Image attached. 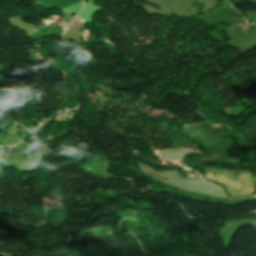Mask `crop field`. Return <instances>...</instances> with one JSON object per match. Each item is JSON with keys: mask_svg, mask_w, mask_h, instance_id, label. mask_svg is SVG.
<instances>
[{"mask_svg": "<svg viewBox=\"0 0 256 256\" xmlns=\"http://www.w3.org/2000/svg\"><path fill=\"white\" fill-rule=\"evenodd\" d=\"M46 125H48V124L44 123L41 127H39L37 130H35L33 133H37V132L41 131L42 129H44V127ZM33 133H31V134H33Z\"/></svg>", "mask_w": 256, "mask_h": 256, "instance_id": "crop-field-2", "label": "crop field"}, {"mask_svg": "<svg viewBox=\"0 0 256 256\" xmlns=\"http://www.w3.org/2000/svg\"><path fill=\"white\" fill-rule=\"evenodd\" d=\"M176 150H185V149H176ZM176 150H171V151H176ZM187 151L195 152V151H192V150H187ZM195 153H198V152H195Z\"/></svg>", "mask_w": 256, "mask_h": 256, "instance_id": "crop-field-3", "label": "crop field"}, {"mask_svg": "<svg viewBox=\"0 0 256 256\" xmlns=\"http://www.w3.org/2000/svg\"><path fill=\"white\" fill-rule=\"evenodd\" d=\"M206 177H209L211 179H214V180H217L219 182H222V183H225L227 185H230V186H233V187H237L238 183L237 182H234V181H231L229 179H226V178H223V177H220V176H216V175H213V174H210V173H207V176Z\"/></svg>", "mask_w": 256, "mask_h": 256, "instance_id": "crop-field-1", "label": "crop field"}, {"mask_svg": "<svg viewBox=\"0 0 256 256\" xmlns=\"http://www.w3.org/2000/svg\"><path fill=\"white\" fill-rule=\"evenodd\" d=\"M11 147H13V146H11Z\"/></svg>", "mask_w": 256, "mask_h": 256, "instance_id": "crop-field-4", "label": "crop field"}]
</instances>
